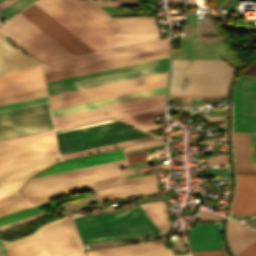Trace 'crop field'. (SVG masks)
<instances>
[{"label": "crop field", "instance_id": "crop-field-1", "mask_svg": "<svg viewBox=\"0 0 256 256\" xmlns=\"http://www.w3.org/2000/svg\"><path fill=\"white\" fill-rule=\"evenodd\" d=\"M124 159L32 178L22 189L33 205L51 198L119 182L127 173Z\"/></svg>", "mask_w": 256, "mask_h": 256}, {"label": "crop field", "instance_id": "crop-field-2", "mask_svg": "<svg viewBox=\"0 0 256 256\" xmlns=\"http://www.w3.org/2000/svg\"><path fill=\"white\" fill-rule=\"evenodd\" d=\"M40 9L94 52L110 49L111 25L79 0H40Z\"/></svg>", "mask_w": 256, "mask_h": 256}, {"label": "crop field", "instance_id": "crop-field-3", "mask_svg": "<svg viewBox=\"0 0 256 256\" xmlns=\"http://www.w3.org/2000/svg\"><path fill=\"white\" fill-rule=\"evenodd\" d=\"M50 256H84L73 223L64 217L40 227ZM40 229L19 240L4 242L9 256H49ZM0 240V256H8Z\"/></svg>", "mask_w": 256, "mask_h": 256}, {"label": "crop field", "instance_id": "crop-field-4", "mask_svg": "<svg viewBox=\"0 0 256 256\" xmlns=\"http://www.w3.org/2000/svg\"><path fill=\"white\" fill-rule=\"evenodd\" d=\"M148 219L138 208L73 220L82 242L92 243L160 233Z\"/></svg>", "mask_w": 256, "mask_h": 256}, {"label": "crop field", "instance_id": "crop-field-5", "mask_svg": "<svg viewBox=\"0 0 256 256\" xmlns=\"http://www.w3.org/2000/svg\"><path fill=\"white\" fill-rule=\"evenodd\" d=\"M235 71L220 59L173 60L170 93H226Z\"/></svg>", "mask_w": 256, "mask_h": 256}, {"label": "crop field", "instance_id": "crop-field-6", "mask_svg": "<svg viewBox=\"0 0 256 256\" xmlns=\"http://www.w3.org/2000/svg\"><path fill=\"white\" fill-rule=\"evenodd\" d=\"M168 70V57L46 82L48 94L75 91Z\"/></svg>", "mask_w": 256, "mask_h": 256}, {"label": "crop field", "instance_id": "crop-field-7", "mask_svg": "<svg viewBox=\"0 0 256 256\" xmlns=\"http://www.w3.org/2000/svg\"><path fill=\"white\" fill-rule=\"evenodd\" d=\"M165 90H166V86L145 90V91H140V92H135V93H130V94H125L121 96L96 100L92 102L67 106L63 108L53 109L51 110V112H52V116L55 117V116H60L64 114H69V113H74L78 111L105 106V107L97 108L93 110L55 117L53 118V121H54V124H56V123L70 121V120H75V119L95 116L99 114L119 111L123 109L162 102L165 99Z\"/></svg>", "mask_w": 256, "mask_h": 256}, {"label": "crop field", "instance_id": "crop-field-8", "mask_svg": "<svg viewBox=\"0 0 256 256\" xmlns=\"http://www.w3.org/2000/svg\"><path fill=\"white\" fill-rule=\"evenodd\" d=\"M121 121L56 134L60 154L151 136Z\"/></svg>", "mask_w": 256, "mask_h": 256}, {"label": "crop field", "instance_id": "crop-field-9", "mask_svg": "<svg viewBox=\"0 0 256 256\" xmlns=\"http://www.w3.org/2000/svg\"><path fill=\"white\" fill-rule=\"evenodd\" d=\"M0 35L44 62L72 56L20 14L0 27Z\"/></svg>", "mask_w": 256, "mask_h": 256}, {"label": "crop field", "instance_id": "crop-field-10", "mask_svg": "<svg viewBox=\"0 0 256 256\" xmlns=\"http://www.w3.org/2000/svg\"><path fill=\"white\" fill-rule=\"evenodd\" d=\"M167 72L49 97L51 109L166 85Z\"/></svg>", "mask_w": 256, "mask_h": 256}, {"label": "crop field", "instance_id": "crop-field-11", "mask_svg": "<svg viewBox=\"0 0 256 256\" xmlns=\"http://www.w3.org/2000/svg\"><path fill=\"white\" fill-rule=\"evenodd\" d=\"M53 129L47 102L0 112V140Z\"/></svg>", "mask_w": 256, "mask_h": 256}, {"label": "crop field", "instance_id": "crop-field-12", "mask_svg": "<svg viewBox=\"0 0 256 256\" xmlns=\"http://www.w3.org/2000/svg\"><path fill=\"white\" fill-rule=\"evenodd\" d=\"M53 131L41 133L37 135H32L28 137H23L19 139H14L10 141H5L0 143V172L54 153L58 151L56 148L55 136ZM52 134V135H46ZM46 135V136H41ZM41 136V137H36ZM36 137V138H30ZM31 151V156L36 157L49 152V153L40 157L31 159L28 141Z\"/></svg>", "mask_w": 256, "mask_h": 256}, {"label": "crop field", "instance_id": "crop-field-13", "mask_svg": "<svg viewBox=\"0 0 256 256\" xmlns=\"http://www.w3.org/2000/svg\"><path fill=\"white\" fill-rule=\"evenodd\" d=\"M233 131L256 134V77L241 75L236 83Z\"/></svg>", "mask_w": 256, "mask_h": 256}, {"label": "crop field", "instance_id": "crop-field-14", "mask_svg": "<svg viewBox=\"0 0 256 256\" xmlns=\"http://www.w3.org/2000/svg\"><path fill=\"white\" fill-rule=\"evenodd\" d=\"M20 14L73 56L93 52L34 4Z\"/></svg>", "mask_w": 256, "mask_h": 256}, {"label": "crop field", "instance_id": "crop-field-15", "mask_svg": "<svg viewBox=\"0 0 256 256\" xmlns=\"http://www.w3.org/2000/svg\"><path fill=\"white\" fill-rule=\"evenodd\" d=\"M169 39L42 64L44 73L168 48Z\"/></svg>", "mask_w": 256, "mask_h": 256}, {"label": "crop field", "instance_id": "crop-field-16", "mask_svg": "<svg viewBox=\"0 0 256 256\" xmlns=\"http://www.w3.org/2000/svg\"><path fill=\"white\" fill-rule=\"evenodd\" d=\"M43 87L40 65L8 71L0 76V96Z\"/></svg>", "mask_w": 256, "mask_h": 256}, {"label": "crop field", "instance_id": "crop-field-17", "mask_svg": "<svg viewBox=\"0 0 256 256\" xmlns=\"http://www.w3.org/2000/svg\"><path fill=\"white\" fill-rule=\"evenodd\" d=\"M99 201L120 199L127 196L157 191L156 175L123 181L122 183L94 190Z\"/></svg>", "mask_w": 256, "mask_h": 256}, {"label": "crop field", "instance_id": "crop-field-18", "mask_svg": "<svg viewBox=\"0 0 256 256\" xmlns=\"http://www.w3.org/2000/svg\"><path fill=\"white\" fill-rule=\"evenodd\" d=\"M166 56H168V49L126 57V58H121V59H116V60H111V61H106V62H101V63H96V64H91V65H86V66H81V67H76V68H71V69H66V70H61V71H56V72H51V73H46L44 74V76H45V80L48 81V80H53V79L73 76L77 74L137 63L141 61H146V60H151V59H156V58H161Z\"/></svg>", "mask_w": 256, "mask_h": 256}, {"label": "crop field", "instance_id": "crop-field-19", "mask_svg": "<svg viewBox=\"0 0 256 256\" xmlns=\"http://www.w3.org/2000/svg\"><path fill=\"white\" fill-rule=\"evenodd\" d=\"M237 185L230 213L256 214V175L236 174Z\"/></svg>", "mask_w": 256, "mask_h": 256}, {"label": "crop field", "instance_id": "crop-field-20", "mask_svg": "<svg viewBox=\"0 0 256 256\" xmlns=\"http://www.w3.org/2000/svg\"><path fill=\"white\" fill-rule=\"evenodd\" d=\"M219 225L220 223L195 225L189 234L191 250L223 249Z\"/></svg>", "mask_w": 256, "mask_h": 256}, {"label": "crop field", "instance_id": "crop-field-21", "mask_svg": "<svg viewBox=\"0 0 256 256\" xmlns=\"http://www.w3.org/2000/svg\"><path fill=\"white\" fill-rule=\"evenodd\" d=\"M122 149L64 160L59 163L57 162L58 164L50 167L49 169L41 172L36 176L74 169V168L93 165V164H98V163H103V162H108V161L117 160V159H122L124 158L121 152Z\"/></svg>", "mask_w": 256, "mask_h": 256}, {"label": "crop field", "instance_id": "crop-field-22", "mask_svg": "<svg viewBox=\"0 0 256 256\" xmlns=\"http://www.w3.org/2000/svg\"><path fill=\"white\" fill-rule=\"evenodd\" d=\"M56 159H51L0 177V198L17 193L23 183L32 175L46 168Z\"/></svg>", "mask_w": 256, "mask_h": 256}, {"label": "crop field", "instance_id": "crop-field-23", "mask_svg": "<svg viewBox=\"0 0 256 256\" xmlns=\"http://www.w3.org/2000/svg\"><path fill=\"white\" fill-rule=\"evenodd\" d=\"M7 42L9 41L0 37V73L7 69L39 63L35 58L22 54Z\"/></svg>", "mask_w": 256, "mask_h": 256}, {"label": "crop field", "instance_id": "crop-field-24", "mask_svg": "<svg viewBox=\"0 0 256 256\" xmlns=\"http://www.w3.org/2000/svg\"><path fill=\"white\" fill-rule=\"evenodd\" d=\"M113 33L159 32L154 17L113 18Z\"/></svg>", "mask_w": 256, "mask_h": 256}, {"label": "crop field", "instance_id": "crop-field-25", "mask_svg": "<svg viewBox=\"0 0 256 256\" xmlns=\"http://www.w3.org/2000/svg\"><path fill=\"white\" fill-rule=\"evenodd\" d=\"M227 235L235 256L256 241V232L231 220L228 222Z\"/></svg>", "mask_w": 256, "mask_h": 256}, {"label": "crop field", "instance_id": "crop-field-26", "mask_svg": "<svg viewBox=\"0 0 256 256\" xmlns=\"http://www.w3.org/2000/svg\"><path fill=\"white\" fill-rule=\"evenodd\" d=\"M233 151L235 166L256 168V162H250L248 134L233 132ZM241 167H235L236 171L256 172L255 168Z\"/></svg>", "mask_w": 256, "mask_h": 256}, {"label": "crop field", "instance_id": "crop-field-27", "mask_svg": "<svg viewBox=\"0 0 256 256\" xmlns=\"http://www.w3.org/2000/svg\"><path fill=\"white\" fill-rule=\"evenodd\" d=\"M163 106H164V102L157 103V104H152V105H148V106H143V107H138V108H133V109H128V110H123V111H119V112L99 115V116H95V117H90V118L70 121V122H66V123L56 124V125H54V127L56 129H59V128H64V127L78 125V124H83V123H88V122L108 119V118H112V117H117V116H122V115L137 113V112H142V111H146V110L161 108Z\"/></svg>", "mask_w": 256, "mask_h": 256}, {"label": "crop field", "instance_id": "crop-field-28", "mask_svg": "<svg viewBox=\"0 0 256 256\" xmlns=\"http://www.w3.org/2000/svg\"><path fill=\"white\" fill-rule=\"evenodd\" d=\"M159 39V33L113 34L112 48Z\"/></svg>", "mask_w": 256, "mask_h": 256}, {"label": "crop field", "instance_id": "crop-field-29", "mask_svg": "<svg viewBox=\"0 0 256 256\" xmlns=\"http://www.w3.org/2000/svg\"><path fill=\"white\" fill-rule=\"evenodd\" d=\"M29 206L24 198L19 194H14L0 199V215Z\"/></svg>", "mask_w": 256, "mask_h": 256}, {"label": "crop field", "instance_id": "crop-field-30", "mask_svg": "<svg viewBox=\"0 0 256 256\" xmlns=\"http://www.w3.org/2000/svg\"><path fill=\"white\" fill-rule=\"evenodd\" d=\"M46 205H48V201L41 203L39 205L30 207V208H27V209H24V210H21V211H18V212H15V213L3 216V217H0V226L10 223V222H13V221H16V220H19V219H23V218L41 213V212H44L40 209Z\"/></svg>", "mask_w": 256, "mask_h": 256}, {"label": "crop field", "instance_id": "crop-field-31", "mask_svg": "<svg viewBox=\"0 0 256 256\" xmlns=\"http://www.w3.org/2000/svg\"><path fill=\"white\" fill-rule=\"evenodd\" d=\"M152 139H157V138L154 137V136H151V137H146V138H141V139L126 141V142L111 144V145H107V146H102V147H97V148H92V149H87V150H82V151H77V152L62 154V155H60V157H61V159H62V158H65V157H70V156H75V155H80V154H86V153H91V152H96V151L111 149V148H115V147H120V146H124V145H129V144L138 143V142L148 141V140H152Z\"/></svg>", "mask_w": 256, "mask_h": 256}, {"label": "crop field", "instance_id": "crop-field-32", "mask_svg": "<svg viewBox=\"0 0 256 256\" xmlns=\"http://www.w3.org/2000/svg\"><path fill=\"white\" fill-rule=\"evenodd\" d=\"M44 95H46L45 88L33 90V91H29V92L0 97V104L34 98V97H39V96H44Z\"/></svg>", "mask_w": 256, "mask_h": 256}, {"label": "crop field", "instance_id": "crop-field-33", "mask_svg": "<svg viewBox=\"0 0 256 256\" xmlns=\"http://www.w3.org/2000/svg\"><path fill=\"white\" fill-rule=\"evenodd\" d=\"M34 0H16L14 3L6 7L0 12V19H7Z\"/></svg>", "mask_w": 256, "mask_h": 256}, {"label": "crop field", "instance_id": "crop-field-34", "mask_svg": "<svg viewBox=\"0 0 256 256\" xmlns=\"http://www.w3.org/2000/svg\"><path fill=\"white\" fill-rule=\"evenodd\" d=\"M45 101H47L46 96L39 97V98H34V99H29V100H24V101H19V102H14V103H9V104H4V105H0V111L1 110H6V109H11V108H16V107H20V106L45 102Z\"/></svg>", "mask_w": 256, "mask_h": 256}, {"label": "crop field", "instance_id": "crop-field-35", "mask_svg": "<svg viewBox=\"0 0 256 256\" xmlns=\"http://www.w3.org/2000/svg\"><path fill=\"white\" fill-rule=\"evenodd\" d=\"M162 114H164L163 109L140 113V114H135V115H130V116L119 117L118 119L123 120L125 122H129V121L153 117V116L162 115Z\"/></svg>", "mask_w": 256, "mask_h": 256}, {"label": "crop field", "instance_id": "crop-field-36", "mask_svg": "<svg viewBox=\"0 0 256 256\" xmlns=\"http://www.w3.org/2000/svg\"><path fill=\"white\" fill-rule=\"evenodd\" d=\"M44 216H46V212L41 213V214H38V215H35V216H32V217H29V218H26V219H23V220H19V221L10 223V224L4 225V226H1V227H0V232H1V231H4V230H6V229H9V228H11V227H14V226H16V225H20V224H25V223L32 222V221L37 220V219H40V218H42V217H44Z\"/></svg>", "mask_w": 256, "mask_h": 256}, {"label": "crop field", "instance_id": "crop-field-37", "mask_svg": "<svg viewBox=\"0 0 256 256\" xmlns=\"http://www.w3.org/2000/svg\"><path fill=\"white\" fill-rule=\"evenodd\" d=\"M84 4H86L89 8H91L93 11H95L98 15H100L103 19H105L108 23L111 24V17L105 13L103 10H101L99 7H97L95 4H93L89 0H81Z\"/></svg>", "mask_w": 256, "mask_h": 256}, {"label": "crop field", "instance_id": "crop-field-38", "mask_svg": "<svg viewBox=\"0 0 256 256\" xmlns=\"http://www.w3.org/2000/svg\"><path fill=\"white\" fill-rule=\"evenodd\" d=\"M93 2H95L98 5H139L136 0L93 1Z\"/></svg>", "mask_w": 256, "mask_h": 256}, {"label": "crop field", "instance_id": "crop-field-39", "mask_svg": "<svg viewBox=\"0 0 256 256\" xmlns=\"http://www.w3.org/2000/svg\"><path fill=\"white\" fill-rule=\"evenodd\" d=\"M193 256H227L224 250L192 251Z\"/></svg>", "mask_w": 256, "mask_h": 256}, {"label": "crop field", "instance_id": "crop-field-40", "mask_svg": "<svg viewBox=\"0 0 256 256\" xmlns=\"http://www.w3.org/2000/svg\"><path fill=\"white\" fill-rule=\"evenodd\" d=\"M127 156V160L128 163H135V162H140V161H144L146 160L145 157H147V152H139V153H133V154H128Z\"/></svg>", "mask_w": 256, "mask_h": 256}, {"label": "crop field", "instance_id": "crop-field-41", "mask_svg": "<svg viewBox=\"0 0 256 256\" xmlns=\"http://www.w3.org/2000/svg\"><path fill=\"white\" fill-rule=\"evenodd\" d=\"M57 156H58V153L54 154V155H51V156H48V157H45V158H42V159H39V160H36V161H33V162H30V163H27V164H24V165H21V166H18V167H15V168H12V169H9V170H6V171H3V172L0 173V175H3V174H6V173L15 171V170L27 167V166H30V165H33V164H36V163H39V162H42V161H45V160L57 157Z\"/></svg>", "mask_w": 256, "mask_h": 256}, {"label": "crop field", "instance_id": "crop-field-42", "mask_svg": "<svg viewBox=\"0 0 256 256\" xmlns=\"http://www.w3.org/2000/svg\"><path fill=\"white\" fill-rule=\"evenodd\" d=\"M200 220H210V219H220L221 216L214 213L208 212L206 210H201L199 212Z\"/></svg>", "mask_w": 256, "mask_h": 256}, {"label": "crop field", "instance_id": "crop-field-43", "mask_svg": "<svg viewBox=\"0 0 256 256\" xmlns=\"http://www.w3.org/2000/svg\"><path fill=\"white\" fill-rule=\"evenodd\" d=\"M238 256H256V242L240 253Z\"/></svg>", "mask_w": 256, "mask_h": 256}, {"label": "crop field", "instance_id": "crop-field-44", "mask_svg": "<svg viewBox=\"0 0 256 256\" xmlns=\"http://www.w3.org/2000/svg\"><path fill=\"white\" fill-rule=\"evenodd\" d=\"M137 127H140V126H144V125H152V124H155L153 118H150V119H145V120H139V121H134V122H129Z\"/></svg>", "mask_w": 256, "mask_h": 256}, {"label": "crop field", "instance_id": "crop-field-45", "mask_svg": "<svg viewBox=\"0 0 256 256\" xmlns=\"http://www.w3.org/2000/svg\"><path fill=\"white\" fill-rule=\"evenodd\" d=\"M164 143H166V142L157 141V142H152V143H147V144H141V145L128 147L127 150L138 149V148H143V147H148V146H153V145H159V144H164Z\"/></svg>", "mask_w": 256, "mask_h": 256}, {"label": "crop field", "instance_id": "crop-field-46", "mask_svg": "<svg viewBox=\"0 0 256 256\" xmlns=\"http://www.w3.org/2000/svg\"><path fill=\"white\" fill-rule=\"evenodd\" d=\"M112 121H117V120H116V119H112V120L102 121V122H98V123H93V124H88V125L73 127V128H69V129H64V130L56 131V133H58V132H63V131H68V130H73V129H78V128H83V127L92 126V125H97V124H102V123H107V122H112Z\"/></svg>", "mask_w": 256, "mask_h": 256}, {"label": "crop field", "instance_id": "crop-field-47", "mask_svg": "<svg viewBox=\"0 0 256 256\" xmlns=\"http://www.w3.org/2000/svg\"><path fill=\"white\" fill-rule=\"evenodd\" d=\"M243 74L256 76V61Z\"/></svg>", "mask_w": 256, "mask_h": 256}, {"label": "crop field", "instance_id": "crop-field-48", "mask_svg": "<svg viewBox=\"0 0 256 256\" xmlns=\"http://www.w3.org/2000/svg\"><path fill=\"white\" fill-rule=\"evenodd\" d=\"M225 119V116H203L204 121Z\"/></svg>", "mask_w": 256, "mask_h": 256}, {"label": "crop field", "instance_id": "crop-field-49", "mask_svg": "<svg viewBox=\"0 0 256 256\" xmlns=\"http://www.w3.org/2000/svg\"><path fill=\"white\" fill-rule=\"evenodd\" d=\"M15 0H4L3 2L0 3V11L4 9L6 6L14 2Z\"/></svg>", "mask_w": 256, "mask_h": 256}, {"label": "crop field", "instance_id": "crop-field-50", "mask_svg": "<svg viewBox=\"0 0 256 256\" xmlns=\"http://www.w3.org/2000/svg\"><path fill=\"white\" fill-rule=\"evenodd\" d=\"M185 256H190V255H185Z\"/></svg>", "mask_w": 256, "mask_h": 256}, {"label": "crop field", "instance_id": "crop-field-51", "mask_svg": "<svg viewBox=\"0 0 256 256\" xmlns=\"http://www.w3.org/2000/svg\"><path fill=\"white\" fill-rule=\"evenodd\" d=\"M2 0H0V2H1Z\"/></svg>", "mask_w": 256, "mask_h": 256}]
</instances>
